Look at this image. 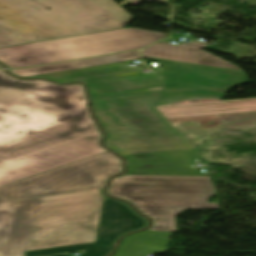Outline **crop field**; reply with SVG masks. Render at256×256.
Returning <instances> with one entry per match:
<instances>
[{"label": "crop field", "instance_id": "6", "mask_svg": "<svg viewBox=\"0 0 256 256\" xmlns=\"http://www.w3.org/2000/svg\"><path fill=\"white\" fill-rule=\"evenodd\" d=\"M167 35L125 28L82 36L0 48L8 68L61 62L143 48Z\"/></svg>", "mask_w": 256, "mask_h": 256}, {"label": "crop field", "instance_id": "12", "mask_svg": "<svg viewBox=\"0 0 256 256\" xmlns=\"http://www.w3.org/2000/svg\"><path fill=\"white\" fill-rule=\"evenodd\" d=\"M88 86L92 98L163 90L154 73L89 82Z\"/></svg>", "mask_w": 256, "mask_h": 256}, {"label": "crop field", "instance_id": "3", "mask_svg": "<svg viewBox=\"0 0 256 256\" xmlns=\"http://www.w3.org/2000/svg\"><path fill=\"white\" fill-rule=\"evenodd\" d=\"M98 189L10 201L0 197V256L95 241Z\"/></svg>", "mask_w": 256, "mask_h": 256}, {"label": "crop field", "instance_id": "11", "mask_svg": "<svg viewBox=\"0 0 256 256\" xmlns=\"http://www.w3.org/2000/svg\"><path fill=\"white\" fill-rule=\"evenodd\" d=\"M165 118L256 111V99L177 104L156 107Z\"/></svg>", "mask_w": 256, "mask_h": 256}, {"label": "crop field", "instance_id": "15", "mask_svg": "<svg viewBox=\"0 0 256 256\" xmlns=\"http://www.w3.org/2000/svg\"><path fill=\"white\" fill-rule=\"evenodd\" d=\"M139 58H141L139 55V52L134 51V52H128V53H122V54H116V55H109V56H103V57H97V58H91V59H84V60H78V61H72V62L47 65V66L12 70L10 72H12L17 76L29 77V76L95 66V65L124 62L128 60L139 59Z\"/></svg>", "mask_w": 256, "mask_h": 256}, {"label": "crop field", "instance_id": "13", "mask_svg": "<svg viewBox=\"0 0 256 256\" xmlns=\"http://www.w3.org/2000/svg\"><path fill=\"white\" fill-rule=\"evenodd\" d=\"M134 63L133 61H128L124 63L118 64H110V65H102V66H95L35 77H45L49 79H53L55 81L61 83H69L73 81L83 80V81H94V80H102L108 79L113 77L131 75V74H138L142 73L141 69L138 67L132 68L128 64ZM29 77V78H35Z\"/></svg>", "mask_w": 256, "mask_h": 256}, {"label": "crop field", "instance_id": "14", "mask_svg": "<svg viewBox=\"0 0 256 256\" xmlns=\"http://www.w3.org/2000/svg\"><path fill=\"white\" fill-rule=\"evenodd\" d=\"M171 233L143 231L125 238L114 256H147L167 253Z\"/></svg>", "mask_w": 256, "mask_h": 256}, {"label": "crop field", "instance_id": "9", "mask_svg": "<svg viewBox=\"0 0 256 256\" xmlns=\"http://www.w3.org/2000/svg\"><path fill=\"white\" fill-rule=\"evenodd\" d=\"M148 60L161 64L163 69L157 74L164 79L166 90L200 89L228 94L233 87L248 83L243 71L155 58Z\"/></svg>", "mask_w": 256, "mask_h": 256}, {"label": "crop field", "instance_id": "4", "mask_svg": "<svg viewBox=\"0 0 256 256\" xmlns=\"http://www.w3.org/2000/svg\"><path fill=\"white\" fill-rule=\"evenodd\" d=\"M113 0H0V47L125 27Z\"/></svg>", "mask_w": 256, "mask_h": 256}, {"label": "crop field", "instance_id": "1", "mask_svg": "<svg viewBox=\"0 0 256 256\" xmlns=\"http://www.w3.org/2000/svg\"><path fill=\"white\" fill-rule=\"evenodd\" d=\"M100 137L81 85L0 70V186L107 151Z\"/></svg>", "mask_w": 256, "mask_h": 256}, {"label": "crop field", "instance_id": "2", "mask_svg": "<svg viewBox=\"0 0 256 256\" xmlns=\"http://www.w3.org/2000/svg\"><path fill=\"white\" fill-rule=\"evenodd\" d=\"M226 95L200 91H159L92 99L108 136L105 145L128 160V174L208 176L192 167L197 147L167 123L153 106ZM116 108V110H114Z\"/></svg>", "mask_w": 256, "mask_h": 256}, {"label": "crop field", "instance_id": "10", "mask_svg": "<svg viewBox=\"0 0 256 256\" xmlns=\"http://www.w3.org/2000/svg\"><path fill=\"white\" fill-rule=\"evenodd\" d=\"M206 44L198 41L182 43L178 46L156 43L142 51L144 58L155 57L168 60L196 63L202 65L223 67L240 70L237 66L229 63L204 50Z\"/></svg>", "mask_w": 256, "mask_h": 256}, {"label": "crop field", "instance_id": "7", "mask_svg": "<svg viewBox=\"0 0 256 256\" xmlns=\"http://www.w3.org/2000/svg\"><path fill=\"white\" fill-rule=\"evenodd\" d=\"M120 171L121 159L108 152L2 187L0 196L17 200L105 187Z\"/></svg>", "mask_w": 256, "mask_h": 256}, {"label": "crop field", "instance_id": "5", "mask_svg": "<svg viewBox=\"0 0 256 256\" xmlns=\"http://www.w3.org/2000/svg\"><path fill=\"white\" fill-rule=\"evenodd\" d=\"M109 195L131 201L154 220L149 230L177 232L175 217L186 210L219 209L209 177L124 175L115 178Z\"/></svg>", "mask_w": 256, "mask_h": 256}, {"label": "crop field", "instance_id": "8", "mask_svg": "<svg viewBox=\"0 0 256 256\" xmlns=\"http://www.w3.org/2000/svg\"><path fill=\"white\" fill-rule=\"evenodd\" d=\"M147 221L125 203L104 197L96 242L26 252L25 256H38L82 250L81 256H105L115 241L125 233L146 226ZM69 256V254L55 255Z\"/></svg>", "mask_w": 256, "mask_h": 256}, {"label": "crop field", "instance_id": "16", "mask_svg": "<svg viewBox=\"0 0 256 256\" xmlns=\"http://www.w3.org/2000/svg\"><path fill=\"white\" fill-rule=\"evenodd\" d=\"M243 1H245V2H247V3H249V4H254V5H256V0H243Z\"/></svg>", "mask_w": 256, "mask_h": 256}, {"label": "crop field", "instance_id": "17", "mask_svg": "<svg viewBox=\"0 0 256 256\" xmlns=\"http://www.w3.org/2000/svg\"><path fill=\"white\" fill-rule=\"evenodd\" d=\"M0 67H2V65H0Z\"/></svg>", "mask_w": 256, "mask_h": 256}]
</instances>
